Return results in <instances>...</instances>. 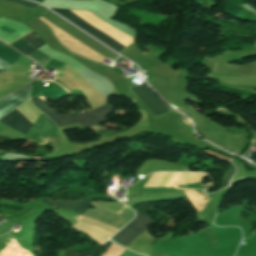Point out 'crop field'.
<instances>
[{"mask_svg":"<svg viewBox=\"0 0 256 256\" xmlns=\"http://www.w3.org/2000/svg\"><path fill=\"white\" fill-rule=\"evenodd\" d=\"M91 205H94L95 209L88 210L85 216L111 225L118 229H120L134 217V212L126 208H124L121 214L118 215L102 206L93 203H91ZM85 216H83L81 220L73 226V228H76L86 233L89 237H91L95 242L100 245L118 231V229L116 228L110 227Z\"/></svg>","mask_w":256,"mask_h":256,"instance_id":"obj_1","label":"crop field"},{"mask_svg":"<svg viewBox=\"0 0 256 256\" xmlns=\"http://www.w3.org/2000/svg\"><path fill=\"white\" fill-rule=\"evenodd\" d=\"M33 104L38 107L42 112H44L55 124H68L74 123L76 120L84 128L92 126L94 124L100 123L105 120L106 115L111 112L113 106L106 105L94 111L77 114V115H59L53 112L46 104V100L43 97L30 98Z\"/></svg>","mask_w":256,"mask_h":256,"instance_id":"obj_2","label":"crop field"},{"mask_svg":"<svg viewBox=\"0 0 256 256\" xmlns=\"http://www.w3.org/2000/svg\"><path fill=\"white\" fill-rule=\"evenodd\" d=\"M206 174L203 173H157L152 174L145 187L173 186L184 183L198 182Z\"/></svg>","mask_w":256,"mask_h":256,"instance_id":"obj_3","label":"crop field"},{"mask_svg":"<svg viewBox=\"0 0 256 256\" xmlns=\"http://www.w3.org/2000/svg\"><path fill=\"white\" fill-rule=\"evenodd\" d=\"M52 10L55 11L56 13L64 16L69 21H71L73 24L82 28L87 33H89L90 35L96 37L97 39H99L100 41H102L103 43H105L106 45H108L109 47H111L112 49L117 51L118 53L126 48L123 45L116 42L115 40L108 37L107 35H105L104 33L100 32L99 30H97L93 26L89 25L85 21L81 20L80 18H78L74 14L70 13L69 11H67L65 9H52Z\"/></svg>","mask_w":256,"mask_h":256,"instance_id":"obj_4","label":"crop field"},{"mask_svg":"<svg viewBox=\"0 0 256 256\" xmlns=\"http://www.w3.org/2000/svg\"><path fill=\"white\" fill-rule=\"evenodd\" d=\"M135 212V219L130 222L126 227H124L121 231H119L115 236H113V239L126 245L134 238H136L138 234L145 231V228L151 223L149 217L137 211Z\"/></svg>","mask_w":256,"mask_h":256,"instance_id":"obj_5","label":"crop field"},{"mask_svg":"<svg viewBox=\"0 0 256 256\" xmlns=\"http://www.w3.org/2000/svg\"><path fill=\"white\" fill-rule=\"evenodd\" d=\"M132 89L155 115L168 111L159 99L146 87L145 83Z\"/></svg>","mask_w":256,"mask_h":256,"instance_id":"obj_6","label":"crop field"},{"mask_svg":"<svg viewBox=\"0 0 256 256\" xmlns=\"http://www.w3.org/2000/svg\"><path fill=\"white\" fill-rule=\"evenodd\" d=\"M17 109V108H16ZM14 110L13 112H11L10 114H8L7 116H5L4 118H2L0 120L1 123L12 127L24 134H26V132L29 130V128L35 123V121H33L32 119H30L29 117L25 116L24 114H22L21 112H19L18 110Z\"/></svg>","mask_w":256,"mask_h":256,"instance_id":"obj_7","label":"crop field"},{"mask_svg":"<svg viewBox=\"0 0 256 256\" xmlns=\"http://www.w3.org/2000/svg\"><path fill=\"white\" fill-rule=\"evenodd\" d=\"M18 41L36 49V50L41 48L42 46L46 45L44 43V41L37 34H35L33 31L28 33L27 35H25L24 37H22ZM18 41L12 43L10 46L16 48L17 51L25 54L26 56L31 54L32 52L36 51V50L18 42Z\"/></svg>","mask_w":256,"mask_h":256,"instance_id":"obj_8","label":"crop field"},{"mask_svg":"<svg viewBox=\"0 0 256 256\" xmlns=\"http://www.w3.org/2000/svg\"><path fill=\"white\" fill-rule=\"evenodd\" d=\"M30 86L10 95L0 103V118L15 109L17 106L29 99L28 90Z\"/></svg>","mask_w":256,"mask_h":256,"instance_id":"obj_9","label":"crop field"},{"mask_svg":"<svg viewBox=\"0 0 256 256\" xmlns=\"http://www.w3.org/2000/svg\"><path fill=\"white\" fill-rule=\"evenodd\" d=\"M20 56L21 55L0 42V58L12 65ZM2 59H0V71H7L11 65Z\"/></svg>","mask_w":256,"mask_h":256,"instance_id":"obj_10","label":"crop field"},{"mask_svg":"<svg viewBox=\"0 0 256 256\" xmlns=\"http://www.w3.org/2000/svg\"><path fill=\"white\" fill-rule=\"evenodd\" d=\"M197 212L201 211L208 202V197L191 191L184 192Z\"/></svg>","mask_w":256,"mask_h":256,"instance_id":"obj_11","label":"crop field"},{"mask_svg":"<svg viewBox=\"0 0 256 256\" xmlns=\"http://www.w3.org/2000/svg\"><path fill=\"white\" fill-rule=\"evenodd\" d=\"M67 94L68 93H66L61 87L50 82V84L43 89L42 96H44L48 99L51 97L56 100V99H58L64 95H67Z\"/></svg>","mask_w":256,"mask_h":256,"instance_id":"obj_12","label":"crop field"},{"mask_svg":"<svg viewBox=\"0 0 256 256\" xmlns=\"http://www.w3.org/2000/svg\"><path fill=\"white\" fill-rule=\"evenodd\" d=\"M44 202L51 206L61 207L65 209L72 210V208L76 205L77 201H71V200H58V201H51L47 199L46 197L42 199Z\"/></svg>","mask_w":256,"mask_h":256,"instance_id":"obj_13","label":"crop field"},{"mask_svg":"<svg viewBox=\"0 0 256 256\" xmlns=\"http://www.w3.org/2000/svg\"><path fill=\"white\" fill-rule=\"evenodd\" d=\"M91 201L89 200H85V199H81L78 201L75 209L73 211L77 212L78 214L82 215L85 213V211L88 209L89 204Z\"/></svg>","mask_w":256,"mask_h":256,"instance_id":"obj_14","label":"crop field"},{"mask_svg":"<svg viewBox=\"0 0 256 256\" xmlns=\"http://www.w3.org/2000/svg\"><path fill=\"white\" fill-rule=\"evenodd\" d=\"M4 1L27 8V9H30V10H32L34 7L37 6V4L31 3L28 1H24V0H4Z\"/></svg>","mask_w":256,"mask_h":256,"instance_id":"obj_15","label":"crop field"},{"mask_svg":"<svg viewBox=\"0 0 256 256\" xmlns=\"http://www.w3.org/2000/svg\"><path fill=\"white\" fill-rule=\"evenodd\" d=\"M233 172H234V166L231 164V168L228 170V172L223 177L221 188L227 185V182H228L229 178L231 177V175L233 174Z\"/></svg>","mask_w":256,"mask_h":256,"instance_id":"obj_16","label":"crop field"},{"mask_svg":"<svg viewBox=\"0 0 256 256\" xmlns=\"http://www.w3.org/2000/svg\"><path fill=\"white\" fill-rule=\"evenodd\" d=\"M203 152L208 153V154H210V155H212V156L218 157V158H220V159H223V160H226V161L229 162V158H228V157L219 155V154H217L216 152H212V151H209V150H204Z\"/></svg>","mask_w":256,"mask_h":256,"instance_id":"obj_17","label":"crop field"},{"mask_svg":"<svg viewBox=\"0 0 256 256\" xmlns=\"http://www.w3.org/2000/svg\"><path fill=\"white\" fill-rule=\"evenodd\" d=\"M65 256H85V253L72 252L65 250Z\"/></svg>","mask_w":256,"mask_h":256,"instance_id":"obj_18","label":"crop field"},{"mask_svg":"<svg viewBox=\"0 0 256 256\" xmlns=\"http://www.w3.org/2000/svg\"><path fill=\"white\" fill-rule=\"evenodd\" d=\"M111 243H112V242L107 241L102 247H104V248L107 249V248L111 245Z\"/></svg>","mask_w":256,"mask_h":256,"instance_id":"obj_19","label":"crop field"},{"mask_svg":"<svg viewBox=\"0 0 256 256\" xmlns=\"http://www.w3.org/2000/svg\"><path fill=\"white\" fill-rule=\"evenodd\" d=\"M55 82V81H54ZM57 83V82H56ZM59 84V83H57ZM60 85V84H59ZM61 86V85H60ZM62 87V86H61ZM65 91H67L64 87H62ZM68 92V91H67ZM69 94H71L70 92H68Z\"/></svg>","mask_w":256,"mask_h":256,"instance_id":"obj_20","label":"crop field"}]
</instances>
